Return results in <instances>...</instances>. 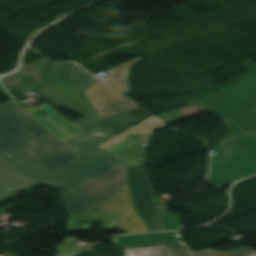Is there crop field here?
Here are the masks:
<instances>
[{"mask_svg":"<svg viewBox=\"0 0 256 256\" xmlns=\"http://www.w3.org/2000/svg\"><path fill=\"white\" fill-rule=\"evenodd\" d=\"M0 154L37 182L78 157L13 101L0 105Z\"/></svg>","mask_w":256,"mask_h":256,"instance_id":"1","label":"crop field"},{"mask_svg":"<svg viewBox=\"0 0 256 256\" xmlns=\"http://www.w3.org/2000/svg\"><path fill=\"white\" fill-rule=\"evenodd\" d=\"M37 182L0 155V198L5 199Z\"/></svg>","mask_w":256,"mask_h":256,"instance_id":"11","label":"crop field"},{"mask_svg":"<svg viewBox=\"0 0 256 256\" xmlns=\"http://www.w3.org/2000/svg\"><path fill=\"white\" fill-rule=\"evenodd\" d=\"M83 213L123 216L107 226L124 229L126 233L148 231L135 209L128 186Z\"/></svg>","mask_w":256,"mask_h":256,"instance_id":"7","label":"crop field"},{"mask_svg":"<svg viewBox=\"0 0 256 256\" xmlns=\"http://www.w3.org/2000/svg\"><path fill=\"white\" fill-rule=\"evenodd\" d=\"M162 245L166 249V251L169 253L170 256H250L256 253V251L254 250L242 248L235 252H227V253H223L213 249H206L204 251L194 254L182 241L164 243ZM152 246H157L159 250L162 252V254L158 256H166V254L161 250L158 244L131 246V247H126V249L152 247Z\"/></svg>","mask_w":256,"mask_h":256,"instance_id":"15","label":"crop field"},{"mask_svg":"<svg viewBox=\"0 0 256 256\" xmlns=\"http://www.w3.org/2000/svg\"><path fill=\"white\" fill-rule=\"evenodd\" d=\"M161 217L166 230L181 229L182 225L177 215L167 213Z\"/></svg>","mask_w":256,"mask_h":256,"instance_id":"19","label":"crop field"},{"mask_svg":"<svg viewBox=\"0 0 256 256\" xmlns=\"http://www.w3.org/2000/svg\"><path fill=\"white\" fill-rule=\"evenodd\" d=\"M73 256H76V254H75V255H73Z\"/></svg>","mask_w":256,"mask_h":256,"instance_id":"23","label":"crop field"},{"mask_svg":"<svg viewBox=\"0 0 256 256\" xmlns=\"http://www.w3.org/2000/svg\"><path fill=\"white\" fill-rule=\"evenodd\" d=\"M127 256H156L161 252L157 247L126 250Z\"/></svg>","mask_w":256,"mask_h":256,"instance_id":"20","label":"crop field"},{"mask_svg":"<svg viewBox=\"0 0 256 256\" xmlns=\"http://www.w3.org/2000/svg\"><path fill=\"white\" fill-rule=\"evenodd\" d=\"M132 183L137 206L152 231L165 230L152 189L141 168L125 167Z\"/></svg>","mask_w":256,"mask_h":256,"instance_id":"9","label":"crop field"},{"mask_svg":"<svg viewBox=\"0 0 256 256\" xmlns=\"http://www.w3.org/2000/svg\"><path fill=\"white\" fill-rule=\"evenodd\" d=\"M148 135H128L125 142L104 150H108L125 159L126 166H143L146 158L145 153L140 150V146L146 142Z\"/></svg>","mask_w":256,"mask_h":256,"instance_id":"12","label":"crop field"},{"mask_svg":"<svg viewBox=\"0 0 256 256\" xmlns=\"http://www.w3.org/2000/svg\"><path fill=\"white\" fill-rule=\"evenodd\" d=\"M150 115L152 114L146 113L141 116H136L131 115L129 111H127L106 118H102V121L105 124V126L119 134L122 131L126 130L127 128L133 126L131 124H133L135 120H142Z\"/></svg>","mask_w":256,"mask_h":256,"instance_id":"18","label":"crop field"},{"mask_svg":"<svg viewBox=\"0 0 256 256\" xmlns=\"http://www.w3.org/2000/svg\"><path fill=\"white\" fill-rule=\"evenodd\" d=\"M44 87L52 90L65 101L75 106L88 116H90L95 121L101 123L96 111L94 110L91 102L89 101L86 93L82 89H78L75 87L67 86L61 83L49 82L46 81ZM80 94H83L84 97H78Z\"/></svg>","mask_w":256,"mask_h":256,"instance_id":"13","label":"crop field"},{"mask_svg":"<svg viewBox=\"0 0 256 256\" xmlns=\"http://www.w3.org/2000/svg\"><path fill=\"white\" fill-rule=\"evenodd\" d=\"M250 69L254 72L238 78L241 82L190 102L208 108L224 120L231 119L246 131L225 120L222 123L231 134L218 140L221 144L256 130V66Z\"/></svg>","mask_w":256,"mask_h":256,"instance_id":"2","label":"crop field"},{"mask_svg":"<svg viewBox=\"0 0 256 256\" xmlns=\"http://www.w3.org/2000/svg\"><path fill=\"white\" fill-rule=\"evenodd\" d=\"M125 186L127 177L124 166L120 165L63 197V202L71 218Z\"/></svg>","mask_w":256,"mask_h":256,"instance_id":"6","label":"crop field"},{"mask_svg":"<svg viewBox=\"0 0 256 256\" xmlns=\"http://www.w3.org/2000/svg\"><path fill=\"white\" fill-rule=\"evenodd\" d=\"M123 161L106 151L92 150L40 184L60 189L61 197L120 165Z\"/></svg>","mask_w":256,"mask_h":256,"instance_id":"4","label":"crop field"},{"mask_svg":"<svg viewBox=\"0 0 256 256\" xmlns=\"http://www.w3.org/2000/svg\"><path fill=\"white\" fill-rule=\"evenodd\" d=\"M42 97L57 105H61L72 112L80 113L84 116V119L80 122L76 121L77 123H75V125L86 134L63 142V144H65L74 154L80 156L117 135L44 87Z\"/></svg>","mask_w":256,"mask_h":256,"instance_id":"8","label":"crop field"},{"mask_svg":"<svg viewBox=\"0 0 256 256\" xmlns=\"http://www.w3.org/2000/svg\"><path fill=\"white\" fill-rule=\"evenodd\" d=\"M1 91L11 98L17 105H19L27 114H29L33 119H35L42 127L49 131L61 142L71 139L73 137L84 134L80 129H78L74 124L66 120L57 111L51 108L49 105L45 104L32 109L26 110L22 105H20L14 98H12L1 86ZM37 110L45 113L44 118L40 115Z\"/></svg>","mask_w":256,"mask_h":256,"instance_id":"10","label":"crop field"},{"mask_svg":"<svg viewBox=\"0 0 256 256\" xmlns=\"http://www.w3.org/2000/svg\"><path fill=\"white\" fill-rule=\"evenodd\" d=\"M166 123L158 118H156L155 116H150L149 118H147L146 120L140 122L138 125H136L135 127L127 130L126 132L116 136L115 138H113L112 140L106 142L105 144L99 146L98 148L104 149L107 148L109 146L118 144L120 142L125 141V138L128 134H137V133H150L153 131V129L156 128H162L165 127Z\"/></svg>","mask_w":256,"mask_h":256,"instance_id":"17","label":"crop field"},{"mask_svg":"<svg viewBox=\"0 0 256 256\" xmlns=\"http://www.w3.org/2000/svg\"><path fill=\"white\" fill-rule=\"evenodd\" d=\"M141 59L142 57L110 68L115 72L111 77L86 89L101 118L139 107L121 92L129 93V68Z\"/></svg>","mask_w":256,"mask_h":256,"instance_id":"5","label":"crop field"},{"mask_svg":"<svg viewBox=\"0 0 256 256\" xmlns=\"http://www.w3.org/2000/svg\"><path fill=\"white\" fill-rule=\"evenodd\" d=\"M256 173V131L212 148L210 182L219 186Z\"/></svg>","mask_w":256,"mask_h":256,"instance_id":"3","label":"crop field"},{"mask_svg":"<svg viewBox=\"0 0 256 256\" xmlns=\"http://www.w3.org/2000/svg\"><path fill=\"white\" fill-rule=\"evenodd\" d=\"M253 256H256V254H255V255H253Z\"/></svg>","mask_w":256,"mask_h":256,"instance_id":"22","label":"crop field"},{"mask_svg":"<svg viewBox=\"0 0 256 256\" xmlns=\"http://www.w3.org/2000/svg\"><path fill=\"white\" fill-rule=\"evenodd\" d=\"M118 239H119V242L114 243L116 247L152 244V243H164V242L180 240L177 232L148 233V234L118 237Z\"/></svg>","mask_w":256,"mask_h":256,"instance_id":"16","label":"crop field"},{"mask_svg":"<svg viewBox=\"0 0 256 256\" xmlns=\"http://www.w3.org/2000/svg\"><path fill=\"white\" fill-rule=\"evenodd\" d=\"M159 245H160V247L163 249V251L166 252V251L164 250V248L161 246V244H159ZM166 254H167V252H166ZM167 256H169V255L167 254Z\"/></svg>","mask_w":256,"mask_h":256,"instance_id":"21","label":"crop field"},{"mask_svg":"<svg viewBox=\"0 0 256 256\" xmlns=\"http://www.w3.org/2000/svg\"><path fill=\"white\" fill-rule=\"evenodd\" d=\"M73 67V63L52 65L47 68V71H52V75H46V80L58 81L83 89H86L99 81L93 78L86 71L83 70L84 72H81L73 70ZM76 71L79 73L77 76H75ZM83 80H85V82H83Z\"/></svg>","mask_w":256,"mask_h":256,"instance_id":"14","label":"crop field"}]
</instances>
